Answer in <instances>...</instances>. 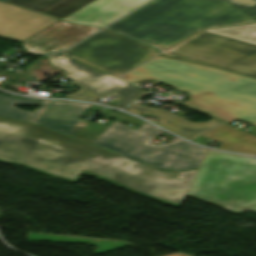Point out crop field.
<instances>
[{"mask_svg": "<svg viewBox=\"0 0 256 256\" xmlns=\"http://www.w3.org/2000/svg\"><path fill=\"white\" fill-rule=\"evenodd\" d=\"M0 162L75 183L88 172L173 207L182 205L197 171L166 172L37 125L1 118Z\"/></svg>", "mask_w": 256, "mask_h": 256, "instance_id": "8a807250", "label": "crop field"}, {"mask_svg": "<svg viewBox=\"0 0 256 256\" xmlns=\"http://www.w3.org/2000/svg\"><path fill=\"white\" fill-rule=\"evenodd\" d=\"M128 81L155 79L190 92L185 104L222 121L256 126V80L234 73L158 56L122 76Z\"/></svg>", "mask_w": 256, "mask_h": 256, "instance_id": "ac0d7876", "label": "crop field"}, {"mask_svg": "<svg viewBox=\"0 0 256 256\" xmlns=\"http://www.w3.org/2000/svg\"><path fill=\"white\" fill-rule=\"evenodd\" d=\"M256 23V0H153L109 29L162 50L205 29Z\"/></svg>", "mask_w": 256, "mask_h": 256, "instance_id": "34b2d1b8", "label": "crop field"}, {"mask_svg": "<svg viewBox=\"0 0 256 256\" xmlns=\"http://www.w3.org/2000/svg\"><path fill=\"white\" fill-rule=\"evenodd\" d=\"M188 196L232 212H256V159L207 150Z\"/></svg>", "mask_w": 256, "mask_h": 256, "instance_id": "412701ff", "label": "crop field"}, {"mask_svg": "<svg viewBox=\"0 0 256 256\" xmlns=\"http://www.w3.org/2000/svg\"><path fill=\"white\" fill-rule=\"evenodd\" d=\"M162 132L148 123L135 131L116 121L93 143L160 169L189 170L199 167L206 149L177 138L164 145L150 143Z\"/></svg>", "mask_w": 256, "mask_h": 256, "instance_id": "f4fd0767", "label": "crop field"}, {"mask_svg": "<svg viewBox=\"0 0 256 256\" xmlns=\"http://www.w3.org/2000/svg\"><path fill=\"white\" fill-rule=\"evenodd\" d=\"M163 55L256 78V45L199 31Z\"/></svg>", "mask_w": 256, "mask_h": 256, "instance_id": "dd49c442", "label": "crop field"}, {"mask_svg": "<svg viewBox=\"0 0 256 256\" xmlns=\"http://www.w3.org/2000/svg\"><path fill=\"white\" fill-rule=\"evenodd\" d=\"M155 54L152 47L103 30L63 55L119 77Z\"/></svg>", "mask_w": 256, "mask_h": 256, "instance_id": "e52e79f7", "label": "crop field"}, {"mask_svg": "<svg viewBox=\"0 0 256 256\" xmlns=\"http://www.w3.org/2000/svg\"><path fill=\"white\" fill-rule=\"evenodd\" d=\"M67 80L81 89L66 98L95 101L112 95L119 96L114 107L127 106L149 91L80 62L65 69Z\"/></svg>", "mask_w": 256, "mask_h": 256, "instance_id": "d8731c3e", "label": "crop field"}, {"mask_svg": "<svg viewBox=\"0 0 256 256\" xmlns=\"http://www.w3.org/2000/svg\"><path fill=\"white\" fill-rule=\"evenodd\" d=\"M100 28L72 25L62 20L22 42L27 51L47 54L63 50Z\"/></svg>", "mask_w": 256, "mask_h": 256, "instance_id": "5a996713", "label": "crop field"}, {"mask_svg": "<svg viewBox=\"0 0 256 256\" xmlns=\"http://www.w3.org/2000/svg\"><path fill=\"white\" fill-rule=\"evenodd\" d=\"M58 19L0 2V37L23 41Z\"/></svg>", "mask_w": 256, "mask_h": 256, "instance_id": "3316defc", "label": "crop field"}, {"mask_svg": "<svg viewBox=\"0 0 256 256\" xmlns=\"http://www.w3.org/2000/svg\"><path fill=\"white\" fill-rule=\"evenodd\" d=\"M148 0H95L62 20L105 26Z\"/></svg>", "mask_w": 256, "mask_h": 256, "instance_id": "28ad6ade", "label": "crop field"}, {"mask_svg": "<svg viewBox=\"0 0 256 256\" xmlns=\"http://www.w3.org/2000/svg\"><path fill=\"white\" fill-rule=\"evenodd\" d=\"M90 106L70 101H52L38 124L68 134L77 124L78 116L85 114Z\"/></svg>", "mask_w": 256, "mask_h": 256, "instance_id": "d1516ede", "label": "crop field"}, {"mask_svg": "<svg viewBox=\"0 0 256 256\" xmlns=\"http://www.w3.org/2000/svg\"><path fill=\"white\" fill-rule=\"evenodd\" d=\"M127 110L135 112L137 114H155L160 118L161 126L177 133L178 135L188 140L194 138L195 136L199 135L200 133L220 122L212 119L211 121L205 123H193L167 110L152 107H143L136 104L128 107Z\"/></svg>", "mask_w": 256, "mask_h": 256, "instance_id": "22f410ed", "label": "crop field"}, {"mask_svg": "<svg viewBox=\"0 0 256 256\" xmlns=\"http://www.w3.org/2000/svg\"><path fill=\"white\" fill-rule=\"evenodd\" d=\"M249 134L224 123L202 136L222 142L220 149L256 156V137Z\"/></svg>", "mask_w": 256, "mask_h": 256, "instance_id": "cbeb9de0", "label": "crop field"}, {"mask_svg": "<svg viewBox=\"0 0 256 256\" xmlns=\"http://www.w3.org/2000/svg\"><path fill=\"white\" fill-rule=\"evenodd\" d=\"M35 11L42 12L55 18H63L78 10L93 0H1Z\"/></svg>", "mask_w": 256, "mask_h": 256, "instance_id": "5142ce71", "label": "crop field"}, {"mask_svg": "<svg viewBox=\"0 0 256 256\" xmlns=\"http://www.w3.org/2000/svg\"><path fill=\"white\" fill-rule=\"evenodd\" d=\"M13 103L29 105L38 103V101L0 95V117L27 121L31 112L19 110L13 106Z\"/></svg>", "mask_w": 256, "mask_h": 256, "instance_id": "d9b57169", "label": "crop field"}, {"mask_svg": "<svg viewBox=\"0 0 256 256\" xmlns=\"http://www.w3.org/2000/svg\"><path fill=\"white\" fill-rule=\"evenodd\" d=\"M205 31L256 44V24L226 27Z\"/></svg>", "mask_w": 256, "mask_h": 256, "instance_id": "733c2abd", "label": "crop field"}, {"mask_svg": "<svg viewBox=\"0 0 256 256\" xmlns=\"http://www.w3.org/2000/svg\"><path fill=\"white\" fill-rule=\"evenodd\" d=\"M51 103V101L48 100H40L39 101V105L40 107L38 109H34V111L32 112L31 116L28 119V122H32V123H37V121L42 116V114L44 113V111L46 110V108L49 106V104Z\"/></svg>", "mask_w": 256, "mask_h": 256, "instance_id": "4a817a6b", "label": "crop field"}, {"mask_svg": "<svg viewBox=\"0 0 256 256\" xmlns=\"http://www.w3.org/2000/svg\"><path fill=\"white\" fill-rule=\"evenodd\" d=\"M170 256H187L185 254H174V255H170Z\"/></svg>", "mask_w": 256, "mask_h": 256, "instance_id": "bc2a9ffb", "label": "crop field"}]
</instances>
